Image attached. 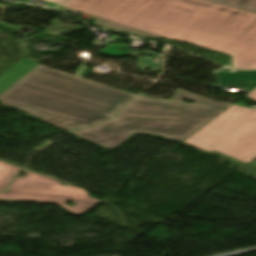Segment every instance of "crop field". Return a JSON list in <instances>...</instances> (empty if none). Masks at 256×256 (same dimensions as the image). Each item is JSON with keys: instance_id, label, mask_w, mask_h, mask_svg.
Listing matches in <instances>:
<instances>
[{"instance_id": "8a807250", "label": "crop field", "mask_w": 256, "mask_h": 256, "mask_svg": "<svg viewBox=\"0 0 256 256\" xmlns=\"http://www.w3.org/2000/svg\"><path fill=\"white\" fill-rule=\"evenodd\" d=\"M58 10L86 13L106 29L229 53L234 68L256 69L253 12L205 0H69Z\"/></svg>"}, {"instance_id": "ac0d7876", "label": "crop field", "mask_w": 256, "mask_h": 256, "mask_svg": "<svg viewBox=\"0 0 256 256\" xmlns=\"http://www.w3.org/2000/svg\"><path fill=\"white\" fill-rule=\"evenodd\" d=\"M133 96L39 65L1 94L0 101L71 131L112 117Z\"/></svg>"}, {"instance_id": "34b2d1b8", "label": "crop field", "mask_w": 256, "mask_h": 256, "mask_svg": "<svg viewBox=\"0 0 256 256\" xmlns=\"http://www.w3.org/2000/svg\"><path fill=\"white\" fill-rule=\"evenodd\" d=\"M181 98L197 103L178 101ZM230 105L180 89L170 101L139 96L118 114L117 119L73 134L104 148L116 147L137 132L181 141Z\"/></svg>"}, {"instance_id": "412701ff", "label": "crop field", "mask_w": 256, "mask_h": 256, "mask_svg": "<svg viewBox=\"0 0 256 256\" xmlns=\"http://www.w3.org/2000/svg\"><path fill=\"white\" fill-rule=\"evenodd\" d=\"M183 142L249 163L256 159V108L236 103Z\"/></svg>"}, {"instance_id": "f4fd0767", "label": "crop field", "mask_w": 256, "mask_h": 256, "mask_svg": "<svg viewBox=\"0 0 256 256\" xmlns=\"http://www.w3.org/2000/svg\"><path fill=\"white\" fill-rule=\"evenodd\" d=\"M25 173H27L25 177L14 180L6 193H0V200L57 203L75 214H84L99 202L88 196L86 191L79 187L61 185L58 181L29 170ZM65 201L75 202V206H66L64 205Z\"/></svg>"}, {"instance_id": "dd49c442", "label": "crop field", "mask_w": 256, "mask_h": 256, "mask_svg": "<svg viewBox=\"0 0 256 256\" xmlns=\"http://www.w3.org/2000/svg\"><path fill=\"white\" fill-rule=\"evenodd\" d=\"M222 88L242 87L248 93L256 87V71L216 72Z\"/></svg>"}, {"instance_id": "e52e79f7", "label": "crop field", "mask_w": 256, "mask_h": 256, "mask_svg": "<svg viewBox=\"0 0 256 256\" xmlns=\"http://www.w3.org/2000/svg\"><path fill=\"white\" fill-rule=\"evenodd\" d=\"M39 64L24 57L2 75H0V94L25 76Z\"/></svg>"}, {"instance_id": "d8731c3e", "label": "crop field", "mask_w": 256, "mask_h": 256, "mask_svg": "<svg viewBox=\"0 0 256 256\" xmlns=\"http://www.w3.org/2000/svg\"><path fill=\"white\" fill-rule=\"evenodd\" d=\"M22 170L24 169L0 161V191L5 190L11 179Z\"/></svg>"}, {"instance_id": "5a996713", "label": "crop field", "mask_w": 256, "mask_h": 256, "mask_svg": "<svg viewBox=\"0 0 256 256\" xmlns=\"http://www.w3.org/2000/svg\"><path fill=\"white\" fill-rule=\"evenodd\" d=\"M219 3L256 12V0H220Z\"/></svg>"}, {"instance_id": "3316defc", "label": "crop field", "mask_w": 256, "mask_h": 256, "mask_svg": "<svg viewBox=\"0 0 256 256\" xmlns=\"http://www.w3.org/2000/svg\"><path fill=\"white\" fill-rule=\"evenodd\" d=\"M22 2H30L31 0H19ZM48 4V7H52L55 8L57 5H59L61 2H63L64 0H45Z\"/></svg>"}, {"instance_id": "28ad6ade", "label": "crop field", "mask_w": 256, "mask_h": 256, "mask_svg": "<svg viewBox=\"0 0 256 256\" xmlns=\"http://www.w3.org/2000/svg\"><path fill=\"white\" fill-rule=\"evenodd\" d=\"M247 98L251 101L256 102V88L247 94Z\"/></svg>"}, {"instance_id": "d1516ede", "label": "crop field", "mask_w": 256, "mask_h": 256, "mask_svg": "<svg viewBox=\"0 0 256 256\" xmlns=\"http://www.w3.org/2000/svg\"><path fill=\"white\" fill-rule=\"evenodd\" d=\"M209 1L218 2L219 0H209Z\"/></svg>"}]
</instances>
